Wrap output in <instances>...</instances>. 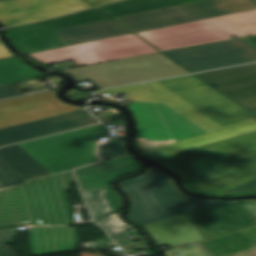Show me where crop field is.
Returning a JSON list of instances; mask_svg holds the SVG:
<instances>
[{
    "label": "crop field",
    "instance_id": "8a807250",
    "mask_svg": "<svg viewBox=\"0 0 256 256\" xmlns=\"http://www.w3.org/2000/svg\"><path fill=\"white\" fill-rule=\"evenodd\" d=\"M96 92H124L133 100L138 138L178 142L207 132L256 120V116L233 103L193 75Z\"/></svg>",
    "mask_w": 256,
    "mask_h": 256
},
{
    "label": "crop field",
    "instance_id": "ac0d7876",
    "mask_svg": "<svg viewBox=\"0 0 256 256\" xmlns=\"http://www.w3.org/2000/svg\"><path fill=\"white\" fill-rule=\"evenodd\" d=\"M120 184L131 201L129 218L141 226L223 203L191 198L177 190L169 176L153 168Z\"/></svg>",
    "mask_w": 256,
    "mask_h": 256
},
{
    "label": "crop field",
    "instance_id": "34b2d1b8",
    "mask_svg": "<svg viewBox=\"0 0 256 256\" xmlns=\"http://www.w3.org/2000/svg\"><path fill=\"white\" fill-rule=\"evenodd\" d=\"M256 34V10L137 33L163 50Z\"/></svg>",
    "mask_w": 256,
    "mask_h": 256
},
{
    "label": "crop field",
    "instance_id": "412701ff",
    "mask_svg": "<svg viewBox=\"0 0 256 256\" xmlns=\"http://www.w3.org/2000/svg\"><path fill=\"white\" fill-rule=\"evenodd\" d=\"M107 134L108 130L98 125L19 146L55 175L97 162L94 146L99 143L100 137H106Z\"/></svg>",
    "mask_w": 256,
    "mask_h": 256
},
{
    "label": "crop field",
    "instance_id": "f4fd0767",
    "mask_svg": "<svg viewBox=\"0 0 256 256\" xmlns=\"http://www.w3.org/2000/svg\"><path fill=\"white\" fill-rule=\"evenodd\" d=\"M77 82L91 81L99 89L188 74L162 53L63 70Z\"/></svg>",
    "mask_w": 256,
    "mask_h": 256
},
{
    "label": "crop field",
    "instance_id": "dd49c442",
    "mask_svg": "<svg viewBox=\"0 0 256 256\" xmlns=\"http://www.w3.org/2000/svg\"><path fill=\"white\" fill-rule=\"evenodd\" d=\"M251 9H256V0H204L116 18V20L137 33Z\"/></svg>",
    "mask_w": 256,
    "mask_h": 256
},
{
    "label": "crop field",
    "instance_id": "e52e79f7",
    "mask_svg": "<svg viewBox=\"0 0 256 256\" xmlns=\"http://www.w3.org/2000/svg\"><path fill=\"white\" fill-rule=\"evenodd\" d=\"M137 162L127 156L74 171L94 220L120 210L121 197L109 183L138 171L141 164Z\"/></svg>",
    "mask_w": 256,
    "mask_h": 256
},
{
    "label": "crop field",
    "instance_id": "d8731c3e",
    "mask_svg": "<svg viewBox=\"0 0 256 256\" xmlns=\"http://www.w3.org/2000/svg\"><path fill=\"white\" fill-rule=\"evenodd\" d=\"M256 153V132L155 160L181 179Z\"/></svg>",
    "mask_w": 256,
    "mask_h": 256
},
{
    "label": "crop field",
    "instance_id": "5a996713",
    "mask_svg": "<svg viewBox=\"0 0 256 256\" xmlns=\"http://www.w3.org/2000/svg\"><path fill=\"white\" fill-rule=\"evenodd\" d=\"M156 52L134 34L86 43L82 45L28 54L48 65L72 60L77 66Z\"/></svg>",
    "mask_w": 256,
    "mask_h": 256
},
{
    "label": "crop field",
    "instance_id": "3316defc",
    "mask_svg": "<svg viewBox=\"0 0 256 256\" xmlns=\"http://www.w3.org/2000/svg\"><path fill=\"white\" fill-rule=\"evenodd\" d=\"M73 181L70 172L22 186L34 226L72 223L66 191Z\"/></svg>",
    "mask_w": 256,
    "mask_h": 256
},
{
    "label": "crop field",
    "instance_id": "28ad6ade",
    "mask_svg": "<svg viewBox=\"0 0 256 256\" xmlns=\"http://www.w3.org/2000/svg\"><path fill=\"white\" fill-rule=\"evenodd\" d=\"M192 72L256 62V50L240 39L164 51Z\"/></svg>",
    "mask_w": 256,
    "mask_h": 256
},
{
    "label": "crop field",
    "instance_id": "d1516ede",
    "mask_svg": "<svg viewBox=\"0 0 256 256\" xmlns=\"http://www.w3.org/2000/svg\"><path fill=\"white\" fill-rule=\"evenodd\" d=\"M102 19L108 17L94 8L45 22L9 28L8 32L17 47L28 54L63 47L55 32L57 28Z\"/></svg>",
    "mask_w": 256,
    "mask_h": 256
},
{
    "label": "crop field",
    "instance_id": "22f410ed",
    "mask_svg": "<svg viewBox=\"0 0 256 256\" xmlns=\"http://www.w3.org/2000/svg\"><path fill=\"white\" fill-rule=\"evenodd\" d=\"M56 91L0 101V128L47 118L77 110L55 97Z\"/></svg>",
    "mask_w": 256,
    "mask_h": 256
},
{
    "label": "crop field",
    "instance_id": "cbeb9de0",
    "mask_svg": "<svg viewBox=\"0 0 256 256\" xmlns=\"http://www.w3.org/2000/svg\"><path fill=\"white\" fill-rule=\"evenodd\" d=\"M256 178V154L183 179L197 194L216 195Z\"/></svg>",
    "mask_w": 256,
    "mask_h": 256
},
{
    "label": "crop field",
    "instance_id": "5142ce71",
    "mask_svg": "<svg viewBox=\"0 0 256 256\" xmlns=\"http://www.w3.org/2000/svg\"><path fill=\"white\" fill-rule=\"evenodd\" d=\"M88 7L82 0H8L0 2V22L8 27Z\"/></svg>",
    "mask_w": 256,
    "mask_h": 256
},
{
    "label": "crop field",
    "instance_id": "d9b57169",
    "mask_svg": "<svg viewBox=\"0 0 256 256\" xmlns=\"http://www.w3.org/2000/svg\"><path fill=\"white\" fill-rule=\"evenodd\" d=\"M186 215L205 239L256 225L239 203H223Z\"/></svg>",
    "mask_w": 256,
    "mask_h": 256
},
{
    "label": "crop field",
    "instance_id": "733c2abd",
    "mask_svg": "<svg viewBox=\"0 0 256 256\" xmlns=\"http://www.w3.org/2000/svg\"><path fill=\"white\" fill-rule=\"evenodd\" d=\"M256 114V64L197 74Z\"/></svg>",
    "mask_w": 256,
    "mask_h": 256
},
{
    "label": "crop field",
    "instance_id": "4a817a6b",
    "mask_svg": "<svg viewBox=\"0 0 256 256\" xmlns=\"http://www.w3.org/2000/svg\"><path fill=\"white\" fill-rule=\"evenodd\" d=\"M98 123L85 110L0 130V147Z\"/></svg>",
    "mask_w": 256,
    "mask_h": 256
},
{
    "label": "crop field",
    "instance_id": "bc2a9ffb",
    "mask_svg": "<svg viewBox=\"0 0 256 256\" xmlns=\"http://www.w3.org/2000/svg\"><path fill=\"white\" fill-rule=\"evenodd\" d=\"M52 176L18 145L0 149V189Z\"/></svg>",
    "mask_w": 256,
    "mask_h": 256
},
{
    "label": "crop field",
    "instance_id": "214f88e0",
    "mask_svg": "<svg viewBox=\"0 0 256 256\" xmlns=\"http://www.w3.org/2000/svg\"><path fill=\"white\" fill-rule=\"evenodd\" d=\"M144 228L157 245L167 244L170 248L204 240L185 214L144 226Z\"/></svg>",
    "mask_w": 256,
    "mask_h": 256
},
{
    "label": "crop field",
    "instance_id": "92a150f3",
    "mask_svg": "<svg viewBox=\"0 0 256 256\" xmlns=\"http://www.w3.org/2000/svg\"><path fill=\"white\" fill-rule=\"evenodd\" d=\"M64 47L130 34L111 19L57 29Z\"/></svg>",
    "mask_w": 256,
    "mask_h": 256
},
{
    "label": "crop field",
    "instance_id": "dafd665d",
    "mask_svg": "<svg viewBox=\"0 0 256 256\" xmlns=\"http://www.w3.org/2000/svg\"><path fill=\"white\" fill-rule=\"evenodd\" d=\"M253 131H256V121L143 152L155 160Z\"/></svg>",
    "mask_w": 256,
    "mask_h": 256
},
{
    "label": "crop field",
    "instance_id": "00972430",
    "mask_svg": "<svg viewBox=\"0 0 256 256\" xmlns=\"http://www.w3.org/2000/svg\"><path fill=\"white\" fill-rule=\"evenodd\" d=\"M212 256H232L256 249V226L196 242Z\"/></svg>",
    "mask_w": 256,
    "mask_h": 256
},
{
    "label": "crop field",
    "instance_id": "a9b5d70f",
    "mask_svg": "<svg viewBox=\"0 0 256 256\" xmlns=\"http://www.w3.org/2000/svg\"><path fill=\"white\" fill-rule=\"evenodd\" d=\"M33 255L75 249L78 243L74 227L30 229Z\"/></svg>",
    "mask_w": 256,
    "mask_h": 256
},
{
    "label": "crop field",
    "instance_id": "4177f3b9",
    "mask_svg": "<svg viewBox=\"0 0 256 256\" xmlns=\"http://www.w3.org/2000/svg\"><path fill=\"white\" fill-rule=\"evenodd\" d=\"M193 1L198 0H123L98 8L116 18Z\"/></svg>",
    "mask_w": 256,
    "mask_h": 256
},
{
    "label": "crop field",
    "instance_id": "730fd06b",
    "mask_svg": "<svg viewBox=\"0 0 256 256\" xmlns=\"http://www.w3.org/2000/svg\"><path fill=\"white\" fill-rule=\"evenodd\" d=\"M46 76L25 65L19 59L0 61V85Z\"/></svg>",
    "mask_w": 256,
    "mask_h": 256
},
{
    "label": "crop field",
    "instance_id": "eef30255",
    "mask_svg": "<svg viewBox=\"0 0 256 256\" xmlns=\"http://www.w3.org/2000/svg\"><path fill=\"white\" fill-rule=\"evenodd\" d=\"M96 223L103 227L110 235L133 229L132 226L125 224L119 219L118 212L106 216L96 221Z\"/></svg>",
    "mask_w": 256,
    "mask_h": 256
},
{
    "label": "crop field",
    "instance_id": "ae1a2a85",
    "mask_svg": "<svg viewBox=\"0 0 256 256\" xmlns=\"http://www.w3.org/2000/svg\"><path fill=\"white\" fill-rule=\"evenodd\" d=\"M98 153L103 161L125 156L126 152L122 141H110V143L99 146Z\"/></svg>",
    "mask_w": 256,
    "mask_h": 256
},
{
    "label": "crop field",
    "instance_id": "d3111659",
    "mask_svg": "<svg viewBox=\"0 0 256 256\" xmlns=\"http://www.w3.org/2000/svg\"><path fill=\"white\" fill-rule=\"evenodd\" d=\"M15 229L0 230V256H16L5 244L14 242Z\"/></svg>",
    "mask_w": 256,
    "mask_h": 256
},
{
    "label": "crop field",
    "instance_id": "750c4746",
    "mask_svg": "<svg viewBox=\"0 0 256 256\" xmlns=\"http://www.w3.org/2000/svg\"><path fill=\"white\" fill-rule=\"evenodd\" d=\"M166 256H209L194 244L165 251Z\"/></svg>",
    "mask_w": 256,
    "mask_h": 256
},
{
    "label": "crop field",
    "instance_id": "bd1437ed",
    "mask_svg": "<svg viewBox=\"0 0 256 256\" xmlns=\"http://www.w3.org/2000/svg\"><path fill=\"white\" fill-rule=\"evenodd\" d=\"M256 194V179L248 183H245L239 187L229 190L219 196H244V195H254Z\"/></svg>",
    "mask_w": 256,
    "mask_h": 256
},
{
    "label": "crop field",
    "instance_id": "1d83c4d3",
    "mask_svg": "<svg viewBox=\"0 0 256 256\" xmlns=\"http://www.w3.org/2000/svg\"><path fill=\"white\" fill-rule=\"evenodd\" d=\"M17 90L12 84L0 86V99L20 96L21 94Z\"/></svg>",
    "mask_w": 256,
    "mask_h": 256
},
{
    "label": "crop field",
    "instance_id": "120bbe31",
    "mask_svg": "<svg viewBox=\"0 0 256 256\" xmlns=\"http://www.w3.org/2000/svg\"><path fill=\"white\" fill-rule=\"evenodd\" d=\"M14 55L4 46L2 41H0V59L13 57Z\"/></svg>",
    "mask_w": 256,
    "mask_h": 256
},
{
    "label": "crop field",
    "instance_id": "d32e631a",
    "mask_svg": "<svg viewBox=\"0 0 256 256\" xmlns=\"http://www.w3.org/2000/svg\"><path fill=\"white\" fill-rule=\"evenodd\" d=\"M242 40L256 49V36L242 38Z\"/></svg>",
    "mask_w": 256,
    "mask_h": 256
},
{
    "label": "crop field",
    "instance_id": "5866460e",
    "mask_svg": "<svg viewBox=\"0 0 256 256\" xmlns=\"http://www.w3.org/2000/svg\"><path fill=\"white\" fill-rule=\"evenodd\" d=\"M243 206L251 215L256 214V204H243Z\"/></svg>",
    "mask_w": 256,
    "mask_h": 256
},
{
    "label": "crop field",
    "instance_id": "028f5c9d",
    "mask_svg": "<svg viewBox=\"0 0 256 256\" xmlns=\"http://www.w3.org/2000/svg\"><path fill=\"white\" fill-rule=\"evenodd\" d=\"M86 1H88L89 3L97 6V5H101V4H104V3L112 2V1H115V0H86Z\"/></svg>",
    "mask_w": 256,
    "mask_h": 256
},
{
    "label": "crop field",
    "instance_id": "e1f06a70",
    "mask_svg": "<svg viewBox=\"0 0 256 256\" xmlns=\"http://www.w3.org/2000/svg\"><path fill=\"white\" fill-rule=\"evenodd\" d=\"M236 256H256V250L249 251V252L239 254V255H236Z\"/></svg>",
    "mask_w": 256,
    "mask_h": 256
},
{
    "label": "crop field",
    "instance_id": "0bd39190",
    "mask_svg": "<svg viewBox=\"0 0 256 256\" xmlns=\"http://www.w3.org/2000/svg\"><path fill=\"white\" fill-rule=\"evenodd\" d=\"M0 1H3V0H0Z\"/></svg>",
    "mask_w": 256,
    "mask_h": 256
}]
</instances>
